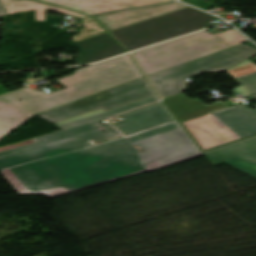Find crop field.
<instances>
[{
  "instance_id": "d9b57169",
  "label": "crop field",
  "mask_w": 256,
  "mask_h": 256,
  "mask_svg": "<svg viewBox=\"0 0 256 256\" xmlns=\"http://www.w3.org/2000/svg\"><path fill=\"white\" fill-rule=\"evenodd\" d=\"M226 73L241 84V86L233 89L234 93L239 92L246 98L250 94H256V65L251 61L248 60L226 71Z\"/></svg>"
},
{
  "instance_id": "d8731c3e",
  "label": "crop field",
  "mask_w": 256,
  "mask_h": 256,
  "mask_svg": "<svg viewBox=\"0 0 256 256\" xmlns=\"http://www.w3.org/2000/svg\"><path fill=\"white\" fill-rule=\"evenodd\" d=\"M154 94L155 92L145 78H143L38 114L37 116L55 124L99 108L106 111Z\"/></svg>"
},
{
  "instance_id": "f4fd0767",
  "label": "crop field",
  "mask_w": 256,
  "mask_h": 256,
  "mask_svg": "<svg viewBox=\"0 0 256 256\" xmlns=\"http://www.w3.org/2000/svg\"><path fill=\"white\" fill-rule=\"evenodd\" d=\"M213 19L216 18L187 7L110 33L130 51L209 27L211 24L207 21Z\"/></svg>"
},
{
  "instance_id": "e52e79f7",
  "label": "crop field",
  "mask_w": 256,
  "mask_h": 256,
  "mask_svg": "<svg viewBox=\"0 0 256 256\" xmlns=\"http://www.w3.org/2000/svg\"><path fill=\"white\" fill-rule=\"evenodd\" d=\"M256 50L240 44L236 47L149 75L161 97L185 90L183 78L202 71H225L253 56Z\"/></svg>"
},
{
  "instance_id": "3316defc",
  "label": "crop field",
  "mask_w": 256,
  "mask_h": 256,
  "mask_svg": "<svg viewBox=\"0 0 256 256\" xmlns=\"http://www.w3.org/2000/svg\"><path fill=\"white\" fill-rule=\"evenodd\" d=\"M122 123L114 125L125 136L175 121L162 102L120 115Z\"/></svg>"
},
{
  "instance_id": "733c2abd",
  "label": "crop field",
  "mask_w": 256,
  "mask_h": 256,
  "mask_svg": "<svg viewBox=\"0 0 256 256\" xmlns=\"http://www.w3.org/2000/svg\"><path fill=\"white\" fill-rule=\"evenodd\" d=\"M82 21L83 27L80 30V34L73 36V42L106 33L93 17H88Z\"/></svg>"
},
{
  "instance_id": "4a817a6b",
  "label": "crop field",
  "mask_w": 256,
  "mask_h": 256,
  "mask_svg": "<svg viewBox=\"0 0 256 256\" xmlns=\"http://www.w3.org/2000/svg\"><path fill=\"white\" fill-rule=\"evenodd\" d=\"M217 35L223 38L224 40L228 41L234 46L240 43L248 42L246 38H244L240 33H238L234 29L217 33Z\"/></svg>"
},
{
  "instance_id": "d1516ede",
  "label": "crop field",
  "mask_w": 256,
  "mask_h": 256,
  "mask_svg": "<svg viewBox=\"0 0 256 256\" xmlns=\"http://www.w3.org/2000/svg\"><path fill=\"white\" fill-rule=\"evenodd\" d=\"M89 15L133 8L138 6L171 2L173 0H37Z\"/></svg>"
},
{
  "instance_id": "5142ce71",
  "label": "crop field",
  "mask_w": 256,
  "mask_h": 256,
  "mask_svg": "<svg viewBox=\"0 0 256 256\" xmlns=\"http://www.w3.org/2000/svg\"><path fill=\"white\" fill-rule=\"evenodd\" d=\"M156 101H159V98L157 97V95L147 97L142 100H139V101L133 102L131 104H128V105H125V106H122L119 108H115V109H112V110H109L106 112H104V110H102V109H99V110H96V111L63 121V122H60L55 125H57L59 128L64 130V129H68V128L82 125L85 123H89V122H92L95 120H99V119H102L105 117H109V116H112L115 114H119V113H122L125 111H129V110H132V109H135V108H138V107H141V106H144V105L156 102Z\"/></svg>"
},
{
  "instance_id": "cbeb9de0",
  "label": "crop field",
  "mask_w": 256,
  "mask_h": 256,
  "mask_svg": "<svg viewBox=\"0 0 256 256\" xmlns=\"http://www.w3.org/2000/svg\"><path fill=\"white\" fill-rule=\"evenodd\" d=\"M0 2L6 10V15L35 10V21H45L46 9L54 10L79 18L88 16L33 0H0Z\"/></svg>"
},
{
  "instance_id": "28ad6ade",
  "label": "crop field",
  "mask_w": 256,
  "mask_h": 256,
  "mask_svg": "<svg viewBox=\"0 0 256 256\" xmlns=\"http://www.w3.org/2000/svg\"><path fill=\"white\" fill-rule=\"evenodd\" d=\"M187 7L179 2L95 16L108 31Z\"/></svg>"
},
{
  "instance_id": "22f410ed",
  "label": "crop field",
  "mask_w": 256,
  "mask_h": 256,
  "mask_svg": "<svg viewBox=\"0 0 256 256\" xmlns=\"http://www.w3.org/2000/svg\"><path fill=\"white\" fill-rule=\"evenodd\" d=\"M80 48L77 63H92L126 51L108 34L75 42Z\"/></svg>"
},
{
  "instance_id": "34b2d1b8",
  "label": "crop field",
  "mask_w": 256,
  "mask_h": 256,
  "mask_svg": "<svg viewBox=\"0 0 256 256\" xmlns=\"http://www.w3.org/2000/svg\"><path fill=\"white\" fill-rule=\"evenodd\" d=\"M163 101L202 151L256 135V109L243 103L230 108L220 102L207 106L182 94Z\"/></svg>"
},
{
  "instance_id": "bc2a9ffb",
  "label": "crop field",
  "mask_w": 256,
  "mask_h": 256,
  "mask_svg": "<svg viewBox=\"0 0 256 256\" xmlns=\"http://www.w3.org/2000/svg\"><path fill=\"white\" fill-rule=\"evenodd\" d=\"M4 14H5V11H4L3 7H2L1 4H0V16H2V15H4Z\"/></svg>"
},
{
  "instance_id": "5a996713",
  "label": "crop field",
  "mask_w": 256,
  "mask_h": 256,
  "mask_svg": "<svg viewBox=\"0 0 256 256\" xmlns=\"http://www.w3.org/2000/svg\"><path fill=\"white\" fill-rule=\"evenodd\" d=\"M213 165L227 163L256 178V136L205 152Z\"/></svg>"
},
{
  "instance_id": "8a807250",
  "label": "crop field",
  "mask_w": 256,
  "mask_h": 256,
  "mask_svg": "<svg viewBox=\"0 0 256 256\" xmlns=\"http://www.w3.org/2000/svg\"><path fill=\"white\" fill-rule=\"evenodd\" d=\"M202 155L177 121L3 171L20 194L50 198Z\"/></svg>"
},
{
  "instance_id": "ac0d7876",
  "label": "crop field",
  "mask_w": 256,
  "mask_h": 256,
  "mask_svg": "<svg viewBox=\"0 0 256 256\" xmlns=\"http://www.w3.org/2000/svg\"><path fill=\"white\" fill-rule=\"evenodd\" d=\"M143 78L129 54L58 79L67 88L46 95L24 89L0 97V140L34 114Z\"/></svg>"
},
{
  "instance_id": "dd49c442",
  "label": "crop field",
  "mask_w": 256,
  "mask_h": 256,
  "mask_svg": "<svg viewBox=\"0 0 256 256\" xmlns=\"http://www.w3.org/2000/svg\"><path fill=\"white\" fill-rule=\"evenodd\" d=\"M233 47L204 30L133 52L147 75Z\"/></svg>"
},
{
  "instance_id": "412701ff",
  "label": "crop field",
  "mask_w": 256,
  "mask_h": 256,
  "mask_svg": "<svg viewBox=\"0 0 256 256\" xmlns=\"http://www.w3.org/2000/svg\"><path fill=\"white\" fill-rule=\"evenodd\" d=\"M120 135L111 125L99 120L61 132L35 138L37 143L0 153V170L87 146L89 140Z\"/></svg>"
}]
</instances>
